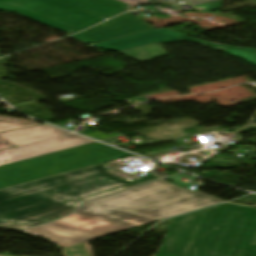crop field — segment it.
I'll return each mask as SVG.
<instances>
[{
  "label": "crop field",
  "mask_w": 256,
  "mask_h": 256,
  "mask_svg": "<svg viewBox=\"0 0 256 256\" xmlns=\"http://www.w3.org/2000/svg\"><path fill=\"white\" fill-rule=\"evenodd\" d=\"M159 179L131 182L99 164L0 190V227L22 229L71 213L85 201ZM7 219H11L6 222Z\"/></svg>",
  "instance_id": "1"
},
{
  "label": "crop field",
  "mask_w": 256,
  "mask_h": 256,
  "mask_svg": "<svg viewBox=\"0 0 256 256\" xmlns=\"http://www.w3.org/2000/svg\"><path fill=\"white\" fill-rule=\"evenodd\" d=\"M155 256H256V210L222 204L174 217Z\"/></svg>",
  "instance_id": "2"
},
{
  "label": "crop field",
  "mask_w": 256,
  "mask_h": 256,
  "mask_svg": "<svg viewBox=\"0 0 256 256\" xmlns=\"http://www.w3.org/2000/svg\"><path fill=\"white\" fill-rule=\"evenodd\" d=\"M219 202L162 180L94 200L74 214L135 227Z\"/></svg>",
  "instance_id": "3"
},
{
  "label": "crop field",
  "mask_w": 256,
  "mask_h": 256,
  "mask_svg": "<svg viewBox=\"0 0 256 256\" xmlns=\"http://www.w3.org/2000/svg\"><path fill=\"white\" fill-rule=\"evenodd\" d=\"M38 123L0 116V132ZM16 145L0 137V150ZM132 155L94 142L0 166V189Z\"/></svg>",
  "instance_id": "4"
},
{
  "label": "crop field",
  "mask_w": 256,
  "mask_h": 256,
  "mask_svg": "<svg viewBox=\"0 0 256 256\" xmlns=\"http://www.w3.org/2000/svg\"><path fill=\"white\" fill-rule=\"evenodd\" d=\"M128 9L118 0H0L1 11L49 25L63 32L81 31Z\"/></svg>",
  "instance_id": "5"
},
{
  "label": "crop field",
  "mask_w": 256,
  "mask_h": 256,
  "mask_svg": "<svg viewBox=\"0 0 256 256\" xmlns=\"http://www.w3.org/2000/svg\"><path fill=\"white\" fill-rule=\"evenodd\" d=\"M17 147L0 151V165L94 142L48 125L0 133Z\"/></svg>",
  "instance_id": "6"
},
{
  "label": "crop field",
  "mask_w": 256,
  "mask_h": 256,
  "mask_svg": "<svg viewBox=\"0 0 256 256\" xmlns=\"http://www.w3.org/2000/svg\"><path fill=\"white\" fill-rule=\"evenodd\" d=\"M129 228L131 227L71 215L68 218L31 228L24 232L47 238L65 248Z\"/></svg>",
  "instance_id": "7"
},
{
  "label": "crop field",
  "mask_w": 256,
  "mask_h": 256,
  "mask_svg": "<svg viewBox=\"0 0 256 256\" xmlns=\"http://www.w3.org/2000/svg\"><path fill=\"white\" fill-rule=\"evenodd\" d=\"M148 30H153V28L126 13L89 30L72 35V37L91 44Z\"/></svg>",
  "instance_id": "8"
},
{
  "label": "crop field",
  "mask_w": 256,
  "mask_h": 256,
  "mask_svg": "<svg viewBox=\"0 0 256 256\" xmlns=\"http://www.w3.org/2000/svg\"><path fill=\"white\" fill-rule=\"evenodd\" d=\"M185 39L168 34L160 30L139 33L135 35L125 36L117 39H112L96 44H92L106 51H121L141 45L158 42L159 44L180 42Z\"/></svg>",
  "instance_id": "9"
},
{
  "label": "crop field",
  "mask_w": 256,
  "mask_h": 256,
  "mask_svg": "<svg viewBox=\"0 0 256 256\" xmlns=\"http://www.w3.org/2000/svg\"><path fill=\"white\" fill-rule=\"evenodd\" d=\"M120 53L127 55L139 62L150 61L168 56V54L158 43L121 51Z\"/></svg>",
  "instance_id": "10"
},
{
  "label": "crop field",
  "mask_w": 256,
  "mask_h": 256,
  "mask_svg": "<svg viewBox=\"0 0 256 256\" xmlns=\"http://www.w3.org/2000/svg\"><path fill=\"white\" fill-rule=\"evenodd\" d=\"M157 0H149L153 2ZM193 6V10L210 12L220 7L221 0H187Z\"/></svg>",
  "instance_id": "11"
},
{
  "label": "crop field",
  "mask_w": 256,
  "mask_h": 256,
  "mask_svg": "<svg viewBox=\"0 0 256 256\" xmlns=\"http://www.w3.org/2000/svg\"><path fill=\"white\" fill-rule=\"evenodd\" d=\"M187 41H190V40H187ZM191 42H195V41H191ZM195 43H198L200 45H203L205 47H208V48H211L214 50L224 51L226 53H229L231 55H234L238 58H241L247 62H250V63L256 65V53H250V52H244V51L226 49V48L210 47V46H207V45H205L203 43H199V42H195Z\"/></svg>",
  "instance_id": "12"
},
{
  "label": "crop field",
  "mask_w": 256,
  "mask_h": 256,
  "mask_svg": "<svg viewBox=\"0 0 256 256\" xmlns=\"http://www.w3.org/2000/svg\"><path fill=\"white\" fill-rule=\"evenodd\" d=\"M65 256H90L86 243L63 249Z\"/></svg>",
  "instance_id": "13"
},
{
  "label": "crop field",
  "mask_w": 256,
  "mask_h": 256,
  "mask_svg": "<svg viewBox=\"0 0 256 256\" xmlns=\"http://www.w3.org/2000/svg\"><path fill=\"white\" fill-rule=\"evenodd\" d=\"M160 30H163V31L169 32V33H171V34H174V35H177V36H181V37H184V38H187V39H191V40L203 42V43H206V44H208V45L219 46V47H226V48H233V49L245 50V51H250V52H256V50H254V49H245V48H238V47L222 46V45H216V44H212V43L200 41V40H197V39L185 37V36H183V35H180V34H178V33H175V32H173V31H170V30L165 29V28H161Z\"/></svg>",
  "instance_id": "14"
},
{
  "label": "crop field",
  "mask_w": 256,
  "mask_h": 256,
  "mask_svg": "<svg viewBox=\"0 0 256 256\" xmlns=\"http://www.w3.org/2000/svg\"><path fill=\"white\" fill-rule=\"evenodd\" d=\"M121 1L128 3L129 8L133 7V6L140 5V4L148 3V0H136L135 2H131L128 0H121Z\"/></svg>",
  "instance_id": "15"
},
{
  "label": "crop field",
  "mask_w": 256,
  "mask_h": 256,
  "mask_svg": "<svg viewBox=\"0 0 256 256\" xmlns=\"http://www.w3.org/2000/svg\"><path fill=\"white\" fill-rule=\"evenodd\" d=\"M46 223V222H45ZM43 224V223H42Z\"/></svg>",
  "instance_id": "16"
},
{
  "label": "crop field",
  "mask_w": 256,
  "mask_h": 256,
  "mask_svg": "<svg viewBox=\"0 0 256 256\" xmlns=\"http://www.w3.org/2000/svg\"><path fill=\"white\" fill-rule=\"evenodd\" d=\"M255 87H256V85H255Z\"/></svg>",
  "instance_id": "17"
}]
</instances>
